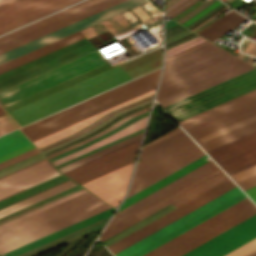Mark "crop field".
Returning <instances> with one entry per match:
<instances>
[{
    "label": "crop field",
    "instance_id": "8a807250",
    "mask_svg": "<svg viewBox=\"0 0 256 256\" xmlns=\"http://www.w3.org/2000/svg\"><path fill=\"white\" fill-rule=\"evenodd\" d=\"M209 160H210V158L204 152L195 156L194 158L188 160L187 162L170 170L169 172L163 174L162 176H160V177L154 179L153 181L145 184L144 186L138 188L137 190L129 193L127 195L125 201L123 202V204L120 206L119 210L124 208L125 206L135 202L136 200L144 197L145 195L153 192L154 190L162 187L163 185L173 181L174 179L182 176L183 174L191 171L192 169L202 165L203 163H205ZM214 166H216V164L212 161H209V162L203 164L202 166L192 170L191 172L183 175L182 177L174 180L173 182L165 185L164 187L145 196L144 198L136 201L135 203L125 207L124 209L116 212V215L112 218V220L109 224L115 222L116 220L124 217L125 215L133 212L134 210L142 207L143 205L162 196L163 194L171 191L172 189L180 186L181 184L189 181L190 179L198 176L199 174L207 171L208 169H210ZM227 179H229V178L223 173V171L221 169H219L216 166L131 214L138 221V220L150 215L151 213L163 208L164 206H166L176 200L182 205L183 203L191 200L192 198L200 195L201 193L211 189L212 187L220 184L221 182H223ZM177 201L166 206L165 208L155 212L154 214L144 218L143 220H141L139 222H137L133 218V216L130 214V215L118 220L117 222L107 226L99 239L102 241V240L110 237L111 235L119 232L120 230L128 227L129 225L137 222L134 225L124 229L123 231L113 235L112 237L102 241L107 246V245L115 242L116 240L124 237L125 235L135 231L136 229L144 226L145 224L153 221L154 219L162 216L163 214L180 206V204Z\"/></svg>",
    "mask_w": 256,
    "mask_h": 256
},
{
    "label": "crop field",
    "instance_id": "ac0d7876",
    "mask_svg": "<svg viewBox=\"0 0 256 256\" xmlns=\"http://www.w3.org/2000/svg\"><path fill=\"white\" fill-rule=\"evenodd\" d=\"M245 197L236 187L115 255L141 256ZM254 214L247 197L143 256H181Z\"/></svg>",
    "mask_w": 256,
    "mask_h": 256
},
{
    "label": "crop field",
    "instance_id": "34b2d1b8",
    "mask_svg": "<svg viewBox=\"0 0 256 256\" xmlns=\"http://www.w3.org/2000/svg\"><path fill=\"white\" fill-rule=\"evenodd\" d=\"M255 88L256 68L168 105L164 109L179 122ZM253 110H256V89L179 124L193 137Z\"/></svg>",
    "mask_w": 256,
    "mask_h": 256
},
{
    "label": "crop field",
    "instance_id": "412701ff",
    "mask_svg": "<svg viewBox=\"0 0 256 256\" xmlns=\"http://www.w3.org/2000/svg\"><path fill=\"white\" fill-rule=\"evenodd\" d=\"M100 1L102 0H85L81 3L40 19L8 34L0 36V44ZM144 2H146V0H105L56 22H53L47 26L0 45V64Z\"/></svg>",
    "mask_w": 256,
    "mask_h": 256
},
{
    "label": "crop field",
    "instance_id": "f4fd0767",
    "mask_svg": "<svg viewBox=\"0 0 256 256\" xmlns=\"http://www.w3.org/2000/svg\"><path fill=\"white\" fill-rule=\"evenodd\" d=\"M251 68L209 43L165 62L156 100L164 107Z\"/></svg>",
    "mask_w": 256,
    "mask_h": 256
},
{
    "label": "crop field",
    "instance_id": "dd49c442",
    "mask_svg": "<svg viewBox=\"0 0 256 256\" xmlns=\"http://www.w3.org/2000/svg\"><path fill=\"white\" fill-rule=\"evenodd\" d=\"M161 64L162 47L13 110L9 112V114L20 125H24L108 88L156 69L160 67Z\"/></svg>",
    "mask_w": 256,
    "mask_h": 256
},
{
    "label": "crop field",
    "instance_id": "e52e79f7",
    "mask_svg": "<svg viewBox=\"0 0 256 256\" xmlns=\"http://www.w3.org/2000/svg\"><path fill=\"white\" fill-rule=\"evenodd\" d=\"M110 208L86 192L0 229V253L4 254L31 241Z\"/></svg>",
    "mask_w": 256,
    "mask_h": 256
},
{
    "label": "crop field",
    "instance_id": "d8731c3e",
    "mask_svg": "<svg viewBox=\"0 0 256 256\" xmlns=\"http://www.w3.org/2000/svg\"><path fill=\"white\" fill-rule=\"evenodd\" d=\"M202 151L178 126L142 147L130 191L137 189Z\"/></svg>",
    "mask_w": 256,
    "mask_h": 256
},
{
    "label": "crop field",
    "instance_id": "5a996713",
    "mask_svg": "<svg viewBox=\"0 0 256 256\" xmlns=\"http://www.w3.org/2000/svg\"><path fill=\"white\" fill-rule=\"evenodd\" d=\"M82 38H84V36L81 34V32H76L72 35H69L65 38H62L58 41H55L51 44H48L44 47H41L37 50H34L30 53H27L23 56H20L16 59L0 65V73L14 68L18 65H21L25 62H28L32 59L40 57L44 54H47L51 51H54L58 48H61L65 45L73 43ZM94 49L95 48L91 45V43L86 38H84L73 44L65 46L33 61L25 63L7 72H4L0 74V90L24 79H27L31 76H34L38 73H41L45 70H48L52 67H55L59 64H62L66 61H69L73 58H76L80 55H83L87 52H90Z\"/></svg>",
    "mask_w": 256,
    "mask_h": 256
},
{
    "label": "crop field",
    "instance_id": "3316defc",
    "mask_svg": "<svg viewBox=\"0 0 256 256\" xmlns=\"http://www.w3.org/2000/svg\"><path fill=\"white\" fill-rule=\"evenodd\" d=\"M106 64L95 50L44 73L0 91V104L5 107L61 82Z\"/></svg>",
    "mask_w": 256,
    "mask_h": 256
},
{
    "label": "crop field",
    "instance_id": "28ad6ade",
    "mask_svg": "<svg viewBox=\"0 0 256 256\" xmlns=\"http://www.w3.org/2000/svg\"><path fill=\"white\" fill-rule=\"evenodd\" d=\"M161 69V68H160ZM160 69L153 71L149 74H146L140 78H137L133 81H130L126 84H123L119 87H116L112 90H109L103 94H100L96 97H93L89 100H86L82 103H79L73 107H70L66 110H63L59 113H56L52 116H49L45 119H42L36 123H33L29 126H26L22 128L21 130L24 132V134L28 137L34 133H37L41 130H44L48 127H51L55 124H58L62 121H65L69 118H72L76 115H79L83 112H86L90 109H93L99 105H102L108 101H111L115 98H118L124 94H127L131 91H134L140 87H143L147 84H150L154 81H156L159 77ZM157 82V81H156Z\"/></svg>",
    "mask_w": 256,
    "mask_h": 256
},
{
    "label": "crop field",
    "instance_id": "d1516ede",
    "mask_svg": "<svg viewBox=\"0 0 256 256\" xmlns=\"http://www.w3.org/2000/svg\"><path fill=\"white\" fill-rule=\"evenodd\" d=\"M80 0H14L0 6V34Z\"/></svg>",
    "mask_w": 256,
    "mask_h": 256
},
{
    "label": "crop field",
    "instance_id": "22f410ed",
    "mask_svg": "<svg viewBox=\"0 0 256 256\" xmlns=\"http://www.w3.org/2000/svg\"><path fill=\"white\" fill-rule=\"evenodd\" d=\"M234 187L236 186L229 179L107 247L115 254Z\"/></svg>",
    "mask_w": 256,
    "mask_h": 256
},
{
    "label": "crop field",
    "instance_id": "cbeb9de0",
    "mask_svg": "<svg viewBox=\"0 0 256 256\" xmlns=\"http://www.w3.org/2000/svg\"><path fill=\"white\" fill-rule=\"evenodd\" d=\"M153 84H154V83H153ZM153 84H151V85H149V86H146V87H144V88H142V89H139V90H137V91H135V92H132V93H130V94H128V95H125V96H123V97H121V98H118V99H116V100H114V101H111V102H109V103H107V104H104V105H102V106H100V107H97V108H95V109H93V110H90V111H88V112H86V113H83V114H81V115H79V116H77V117H74V118H72V119H70V120H67V121H65V122H63V123H61V124H58V125H56V126H54V127H51V128H49V129H47V130H45V131H42V132H40V133H38V134H35V135L31 136L30 138H31L32 141H34V140H36V139H38V138H41V137L46 136V135H48V134H50V133H53V132L58 131V130H60V129H62V128H65V127H67V125H69V124H71V123H73V122H76V121H78V120H80V119H83V118H85V117H88V116H90V115H92V114H95V113H97V112H99V111H102V110H104V109H106V108H109V107H111V106H114V105H116V104H118V103H121V102H123V101H125V100H128V99H130V98H132V97H135V96L140 95V94H142V93H144V92H147V91H149V90H151V89L153 88ZM154 90H155V89H153V90H151V91H149V92H147V93H144V94H142V95H140V96H137V97H135V98H132V99H130V100H128V101H125V102H123V103H121V104H118V105H116V106H114V107H111V108H109V109H106V110H104V111H102V112H99V113H97V114H95V115H92V116H90V117H88V118H85V119H83V120H80V121H78V122H76V123H73V124L69 125V127L65 128V129H63V130H60V131H58V132H55V133H53V134H51V135H48V136H46V137H43V138H41V139H39V140H36V141H34L33 143H34L38 148H40V147H42V146H44V145H47V144H49V143H51V142H54V141H56V140H58V139H60V138H63V137H65V136H67V135H70V134H72V133L78 131L79 129H81V128L87 126V125H89L90 123H92V122H93L94 120H96L97 118H99V117H101V116H103V115H105V114H107V113H109V112H111V111H113V110H115V109H117V108L123 106V105H126V104H128V103H130V102H133V101L139 99V98H142V97H144V96H146V95H149V94L153 93Z\"/></svg>",
    "mask_w": 256,
    "mask_h": 256
},
{
    "label": "crop field",
    "instance_id": "5142ce71",
    "mask_svg": "<svg viewBox=\"0 0 256 256\" xmlns=\"http://www.w3.org/2000/svg\"><path fill=\"white\" fill-rule=\"evenodd\" d=\"M256 237V215L182 256H223Z\"/></svg>",
    "mask_w": 256,
    "mask_h": 256
},
{
    "label": "crop field",
    "instance_id": "d9b57169",
    "mask_svg": "<svg viewBox=\"0 0 256 256\" xmlns=\"http://www.w3.org/2000/svg\"><path fill=\"white\" fill-rule=\"evenodd\" d=\"M254 148H256V132L212 150L208 154L219 164ZM254 165H256V149L219 164L229 176Z\"/></svg>",
    "mask_w": 256,
    "mask_h": 256
},
{
    "label": "crop field",
    "instance_id": "733c2abd",
    "mask_svg": "<svg viewBox=\"0 0 256 256\" xmlns=\"http://www.w3.org/2000/svg\"><path fill=\"white\" fill-rule=\"evenodd\" d=\"M141 141V140H140ZM140 141L64 173L82 185L135 160Z\"/></svg>",
    "mask_w": 256,
    "mask_h": 256
},
{
    "label": "crop field",
    "instance_id": "4a817a6b",
    "mask_svg": "<svg viewBox=\"0 0 256 256\" xmlns=\"http://www.w3.org/2000/svg\"><path fill=\"white\" fill-rule=\"evenodd\" d=\"M60 175L53 165L42 159L0 177V200Z\"/></svg>",
    "mask_w": 256,
    "mask_h": 256
},
{
    "label": "crop field",
    "instance_id": "bc2a9ffb",
    "mask_svg": "<svg viewBox=\"0 0 256 256\" xmlns=\"http://www.w3.org/2000/svg\"><path fill=\"white\" fill-rule=\"evenodd\" d=\"M254 131L256 111L197 135L193 139L208 152Z\"/></svg>",
    "mask_w": 256,
    "mask_h": 256
},
{
    "label": "crop field",
    "instance_id": "214f88e0",
    "mask_svg": "<svg viewBox=\"0 0 256 256\" xmlns=\"http://www.w3.org/2000/svg\"><path fill=\"white\" fill-rule=\"evenodd\" d=\"M133 165L134 162L82 186L117 207L127 190Z\"/></svg>",
    "mask_w": 256,
    "mask_h": 256
},
{
    "label": "crop field",
    "instance_id": "92a150f3",
    "mask_svg": "<svg viewBox=\"0 0 256 256\" xmlns=\"http://www.w3.org/2000/svg\"><path fill=\"white\" fill-rule=\"evenodd\" d=\"M114 210L115 209L111 208V209H109L107 211H104V212H102L100 214H97V215H95L93 217H90V218H88L86 220H83V221H81L79 223H76V224H74L72 226H69V227H67L65 229H62V230H60L58 232L50 234V235H48L46 237H43V238H41L39 240H36V241H34L32 243H29V244H27L25 246H22V247H20L18 249H15V250H13L11 252H8V253L4 254V255H6V256H17L19 254H22V253H24L26 251H29V250H31V249H33L35 247H38V246H40L42 244H45V243H47V242H49L51 240H54V239H56L58 237H61V236L65 235V234H67V233H70V232H72V231H74L76 229H79V228H81L83 226H86V225L92 223V222H95V221H97L99 219H102V218H104V217H106L108 215H112Z\"/></svg>",
    "mask_w": 256,
    "mask_h": 256
},
{
    "label": "crop field",
    "instance_id": "dafd665d",
    "mask_svg": "<svg viewBox=\"0 0 256 256\" xmlns=\"http://www.w3.org/2000/svg\"><path fill=\"white\" fill-rule=\"evenodd\" d=\"M245 19L234 11H231L197 33L213 42L233 27L241 24Z\"/></svg>",
    "mask_w": 256,
    "mask_h": 256
},
{
    "label": "crop field",
    "instance_id": "00972430",
    "mask_svg": "<svg viewBox=\"0 0 256 256\" xmlns=\"http://www.w3.org/2000/svg\"><path fill=\"white\" fill-rule=\"evenodd\" d=\"M147 117H148V116H147ZM147 117H143V118H141V119H139V120L133 122V123L130 124L129 126H127V127L123 128V129L119 130L118 132H116V133H114V134H112V135H110V136H108V137H106V138H103V139H101V140H99V141H97V142H95V143L89 145L88 147H86V148H84V149H82V150H80V151H77V152L72 153V154H70V155H67V156H65V157H63V158H60V159H58V160H55V161H53V163H54L55 165H57V164H59V163H61V162H64V161H66V160H68V159H71V158H73V157H75V156H78V155H80V154H82V153H85V152H87V151H89V150H92V149H94V148H96V147H99V146L104 145V144H106V143H108V142H111V141H113V140H115V139H118V138H120V137H122V136H125V135H127V134H129V133H132V132H134V131H136V130H139V129H141V128H143V127L145 126Z\"/></svg>",
    "mask_w": 256,
    "mask_h": 256
},
{
    "label": "crop field",
    "instance_id": "a9b5d70f",
    "mask_svg": "<svg viewBox=\"0 0 256 256\" xmlns=\"http://www.w3.org/2000/svg\"><path fill=\"white\" fill-rule=\"evenodd\" d=\"M142 133H143V132H142ZM142 133H140V134H138V135H135V136H133V137H131V138H128V139H126V140H124V141H121V142H119V143H117V144H114V145H112V146H110V147H107V148H105V149H103V150H100V151H98V152H96V153H94V154H91V155H89V156H87V157H84V158H82V159H80V160H77V161H75V162H73V163H70V164H68V165H66V166H63V167L59 168V170H60L62 173H64V172H66V171H68V170H71V169H73V168H75V167H78V166H80V165H82V164H85V163H87V162H89V161H92V160H94V159H96V158H99V157H101V156H103V155H105V154H108V153H110V152H112V151H115V150H117V149H119V148H122V147H124V146H126V145H129V144H131V143H133V142H136V141H138V140L141 139Z\"/></svg>",
    "mask_w": 256,
    "mask_h": 256
},
{
    "label": "crop field",
    "instance_id": "4177f3b9",
    "mask_svg": "<svg viewBox=\"0 0 256 256\" xmlns=\"http://www.w3.org/2000/svg\"><path fill=\"white\" fill-rule=\"evenodd\" d=\"M73 185H75L74 183H72V182H70V181H68V182H66V183H63V184H61V185H59V186H56V187H54V188H51V189H49V190H47V191H44V192H42V193H39V194H37V195H35V196H32V197H30V198H27V199H25V200H23V201H20V202H18V203H15V204H13V205H11V206H8V207H6V208H3V209H1L0 210V217L1 216H3V215H6V214H8V213H10V212H13V211H15V210H17V209H20V208H22V207H24V206H26V205H29V204H31V203H33V202H36V201H38V200H40V199H43V198H45V197H47V196H50V195H52V194H54V193H57V192H59V191H61V190H64V189H66V188H68V187H71V186H73ZM76 186V185H75ZM69 189V188H68ZM62 192V191H61ZM55 195V194H54ZM48 198V197H47ZM41 201V200H40ZM34 204V203H33ZM27 207V206H26Z\"/></svg>",
    "mask_w": 256,
    "mask_h": 256
},
{
    "label": "crop field",
    "instance_id": "730fd06b",
    "mask_svg": "<svg viewBox=\"0 0 256 256\" xmlns=\"http://www.w3.org/2000/svg\"><path fill=\"white\" fill-rule=\"evenodd\" d=\"M30 144L23 136L13 139L9 134L0 137V156Z\"/></svg>",
    "mask_w": 256,
    "mask_h": 256
},
{
    "label": "crop field",
    "instance_id": "eef30255",
    "mask_svg": "<svg viewBox=\"0 0 256 256\" xmlns=\"http://www.w3.org/2000/svg\"><path fill=\"white\" fill-rule=\"evenodd\" d=\"M237 173H238V172H237ZM254 175H256V166L251 167V168H249V169H247V170H244V171H242V172H240V173H238V174H235V175L231 176V178H232L236 183H238V182H240V181H242V180H245V179H247V178H249V177H252V176H254ZM238 185H239L243 190H245V189H247V188H249V187H252V186L256 185V176H254V177H252V178H249V179H247V180H245V181H242V182L238 183Z\"/></svg>",
    "mask_w": 256,
    "mask_h": 256
},
{
    "label": "crop field",
    "instance_id": "ae1a2a85",
    "mask_svg": "<svg viewBox=\"0 0 256 256\" xmlns=\"http://www.w3.org/2000/svg\"><path fill=\"white\" fill-rule=\"evenodd\" d=\"M84 192H86V191H85L84 189H82V190H80V191H78V192H75V193H73V194H71V195H68V196H66V197H64V198H61V199H59V200H57V201H54V202H52V203H50V204H47V205H45V206H43V207H40V208H38V209H36V210H33V211L29 212V213H26V214H24V215H21V216H19V217H17V218H14V219L10 220V221H7V222H5V223H3V224H0V228L6 226V225H8V224H11V223H13V222H16V221H18V220H20V219H23V218H25V217H27V216H30V215H32V214H34V213H37V212H39V211H41V210H44V209H46V208H49V207H51V206H53V205H56V204H58V203H60V202H63V201H65V200H67V199H70V198H72V197H75V196H77V195H79V194H82V193H84Z\"/></svg>",
    "mask_w": 256,
    "mask_h": 256
},
{
    "label": "crop field",
    "instance_id": "d3111659",
    "mask_svg": "<svg viewBox=\"0 0 256 256\" xmlns=\"http://www.w3.org/2000/svg\"><path fill=\"white\" fill-rule=\"evenodd\" d=\"M224 256H256V238Z\"/></svg>",
    "mask_w": 256,
    "mask_h": 256
},
{
    "label": "crop field",
    "instance_id": "750c4746",
    "mask_svg": "<svg viewBox=\"0 0 256 256\" xmlns=\"http://www.w3.org/2000/svg\"><path fill=\"white\" fill-rule=\"evenodd\" d=\"M149 108H150V106L147 107V108H145V109H143V110H141V111H139V112H136V113H134V114H132V115L126 117V118H123V119H121L120 121H118L116 124H114V125L108 127L107 129H105V130L99 132L98 134L94 135L93 137H91V138H89V139H87V140H84V141H82V142L76 143V144H74V145H72V146H69V147H67V148H65V149H63V150H60V151H58V152H56V153H54V154H52V155H50V156H47V157L50 158V157H52V156H54V155H57V154L62 153V152H64V151H66V150H69V149L74 148V147H76V146H78V145H81V144H83V143H85V142H87V141H89V140H91V139H93V138H95V137H97V136H99V135H101V134H103V133H105V132H107V131L113 129L114 127H116V126L119 125L120 123H122V122H124V121H126V120H128V119H131V118H133V117H135V116H137V115H139V114H141V113H143V112L148 111ZM120 125H121V124H120Z\"/></svg>",
    "mask_w": 256,
    "mask_h": 256
},
{
    "label": "crop field",
    "instance_id": "bd1437ed",
    "mask_svg": "<svg viewBox=\"0 0 256 256\" xmlns=\"http://www.w3.org/2000/svg\"><path fill=\"white\" fill-rule=\"evenodd\" d=\"M203 41H205V40L202 39L201 37L197 36V37H195L193 39H190V40H188L186 42H183V43L178 44V45H176L174 47H171V48L165 50V58L170 56V55H173V54H175L177 52H180V51H182L184 49H187V48H189L191 46H194V45H196L198 43H201Z\"/></svg>",
    "mask_w": 256,
    "mask_h": 256
},
{
    "label": "crop field",
    "instance_id": "1d83c4d3",
    "mask_svg": "<svg viewBox=\"0 0 256 256\" xmlns=\"http://www.w3.org/2000/svg\"><path fill=\"white\" fill-rule=\"evenodd\" d=\"M5 113V111L0 107V115ZM19 127L13 119L7 114H3L0 116V135L6 133L10 130Z\"/></svg>",
    "mask_w": 256,
    "mask_h": 256
},
{
    "label": "crop field",
    "instance_id": "120bbe31",
    "mask_svg": "<svg viewBox=\"0 0 256 256\" xmlns=\"http://www.w3.org/2000/svg\"><path fill=\"white\" fill-rule=\"evenodd\" d=\"M37 153H39V151L36 148H34V149L30 150V151H27V152H25L23 154H20V155L14 157V158H11V159H9L7 161H4V162L0 163V169L5 168V167H7L9 165H12V164H14L16 162H19V161H21V160H23L25 158H28V157H30L32 155L37 154Z\"/></svg>",
    "mask_w": 256,
    "mask_h": 256
},
{
    "label": "crop field",
    "instance_id": "d32e631a",
    "mask_svg": "<svg viewBox=\"0 0 256 256\" xmlns=\"http://www.w3.org/2000/svg\"><path fill=\"white\" fill-rule=\"evenodd\" d=\"M152 96H153V95H152ZM152 96H150V97H148V98H145V99H143V100H141V101H138V102H136V103H134V104H131V105L127 106V107H124V108H122V109H120V110H117V111H115V112H113V113H110V114L106 115L105 117H103V118L100 119L99 121L95 122V123H94L93 125H91L90 127L86 128L85 130H83V131H81V132H79V133H77V134H75V135H73V136H71V137H69V138L63 140V141H66V140H68V139H70V138H72V137H74V136H76V135H79V134H81V133H83V132H85V131H87V130L93 128L94 126H96L98 123H100L101 121H103V120L106 119L107 117H109V116H111V115H113V114H115V113H117V112H120V111H122V110H125V109H127V108H129V107H132V106H134V105H136V104H138V103H140V102H143V101H145V100L151 98ZM151 99H152V98H151ZM63 141H60V142L55 143V144H53V145H50V146H48V147H46V148H43V149H41V151L46 150V149H48V148H50V147H52V146H55V145H57V144H59V143H61V142H63Z\"/></svg>",
    "mask_w": 256,
    "mask_h": 256
},
{
    "label": "crop field",
    "instance_id": "5866460e",
    "mask_svg": "<svg viewBox=\"0 0 256 256\" xmlns=\"http://www.w3.org/2000/svg\"><path fill=\"white\" fill-rule=\"evenodd\" d=\"M32 148H34V146L32 144H30V145H28L26 147H23V148L19 149V150H16V151L11 152V153H9L7 155H4V156L0 157V162H2L4 160H7V159H9L11 157H14V156H16V155H18L20 153H23V152H25L27 150L32 149Z\"/></svg>",
    "mask_w": 256,
    "mask_h": 256
},
{
    "label": "crop field",
    "instance_id": "028f5c9d",
    "mask_svg": "<svg viewBox=\"0 0 256 256\" xmlns=\"http://www.w3.org/2000/svg\"><path fill=\"white\" fill-rule=\"evenodd\" d=\"M217 1V0H216ZM214 3V2H213ZM220 2H215L214 4H210L211 6L207 7L206 9H204L203 11H201L200 13H198L197 15H195L194 17H192L191 19L187 20L186 22H184L182 25L186 26L189 23H191L192 21H194L195 19H197L198 17H200L201 15H203L204 13H206L207 11H209L210 9H212L213 7H215L216 5H218Z\"/></svg>",
    "mask_w": 256,
    "mask_h": 256
},
{
    "label": "crop field",
    "instance_id": "e1f06a70",
    "mask_svg": "<svg viewBox=\"0 0 256 256\" xmlns=\"http://www.w3.org/2000/svg\"><path fill=\"white\" fill-rule=\"evenodd\" d=\"M245 192L250 196V198L256 203V186L245 190Z\"/></svg>",
    "mask_w": 256,
    "mask_h": 256
},
{
    "label": "crop field",
    "instance_id": "0bd39190",
    "mask_svg": "<svg viewBox=\"0 0 256 256\" xmlns=\"http://www.w3.org/2000/svg\"><path fill=\"white\" fill-rule=\"evenodd\" d=\"M207 43H209V42L205 41V42H203V43H201V44H198V45H196V46H194V47H191V48H189V49H187V50H184V51H182V52H180V53H177V54H175V55H173V56H170V57L166 58L165 61L168 60V59H171V58H173V57H175V56H178V55H180V54H183V53H185V52H187V51H190V50H192V49H195V48H197V47H200V46H202V45H204V44H207Z\"/></svg>",
    "mask_w": 256,
    "mask_h": 256
},
{
    "label": "crop field",
    "instance_id": "b80d0937",
    "mask_svg": "<svg viewBox=\"0 0 256 256\" xmlns=\"http://www.w3.org/2000/svg\"><path fill=\"white\" fill-rule=\"evenodd\" d=\"M227 8V7H226ZM226 8H224L223 10H225ZM223 10H221L220 12H222ZM220 12H218L217 14H215L214 16H212L211 18L207 19L206 21H204L203 23H201L200 25H198L197 27H195L194 29H192L193 31L196 30L197 28H199L200 26H202L204 23H206L207 21H209L210 19H212L213 17H215L216 15H218Z\"/></svg>",
    "mask_w": 256,
    "mask_h": 256
},
{
    "label": "crop field",
    "instance_id": "c035e120",
    "mask_svg": "<svg viewBox=\"0 0 256 256\" xmlns=\"http://www.w3.org/2000/svg\"><path fill=\"white\" fill-rule=\"evenodd\" d=\"M175 24H177V23L174 22V21H165V29L170 27V26H173Z\"/></svg>",
    "mask_w": 256,
    "mask_h": 256
},
{
    "label": "crop field",
    "instance_id": "c21b1889",
    "mask_svg": "<svg viewBox=\"0 0 256 256\" xmlns=\"http://www.w3.org/2000/svg\"><path fill=\"white\" fill-rule=\"evenodd\" d=\"M184 0H180L177 3H175L174 5H172L171 7H169L168 9H166V12H168L169 10H171L172 8H174L175 6H177L178 4H180L181 2H183Z\"/></svg>",
    "mask_w": 256,
    "mask_h": 256
},
{
    "label": "crop field",
    "instance_id": "03da06ac",
    "mask_svg": "<svg viewBox=\"0 0 256 256\" xmlns=\"http://www.w3.org/2000/svg\"><path fill=\"white\" fill-rule=\"evenodd\" d=\"M10 1H12V0H0V5H3V4H5L7 2H10Z\"/></svg>",
    "mask_w": 256,
    "mask_h": 256
}]
</instances>
